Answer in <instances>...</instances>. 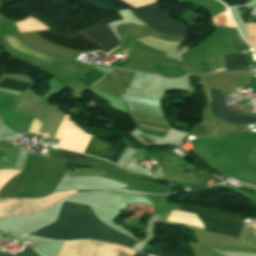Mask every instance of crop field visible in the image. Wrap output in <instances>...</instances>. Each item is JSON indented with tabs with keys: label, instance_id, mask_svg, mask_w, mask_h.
I'll list each match as a JSON object with an SVG mask.
<instances>
[{
	"label": "crop field",
	"instance_id": "dd49c442",
	"mask_svg": "<svg viewBox=\"0 0 256 256\" xmlns=\"http://www.w3.org/2000/svg\"><path fill=\"white\" fill-rule=\"evenodd\" d=\"M198 218L204 224L205 230L208 232L220 233L236 237L242 223L200 215Z\"/></svg>",
	"mask_w": 256,
	"mask_h": 256
},
{
	"label": "crop field",
	"instance_id": "d9b57169",
	"mask_svg": "<svg viewBox=\"0 0 256 256\" xmlns=\"http://www.w3.org/2000/svg\"><path fill=\"white\" fill-rule=\"evenodd\" d=\"M28 85L29 84L27 83L17 82V81L8 80V79H5L0 83L1 88L15 90L19 92H22L23 90L27 89Z\"/></svg>",
	"mask_w": 256,
	"mask_h": 256
},
{
	"label": "crop field",
	"instance_id": "00972430",
	"mask_svg": "<svg viewBox=\"0 0 256 256\" xmlns=\"http://www.w3.org/2000/svg\"><path fill=\"white\" fill-rule=\"evenodd\" d=\"M135 256H146V255H142L140 253H137V254H135Z\"/></svg>",
	"mask_w": 256,
	"mask_h": 256
},
{
	"label": "crop field",
	"instance_id": "d8731c3e",
	"mask_svg": "<svg viewBox=\"0 0 256 256\" xmlns=\"http://www.w3.org/2000/svg\"><path fill=\"white\" fill-rule=\"evenodd\" d=\"M121 98L124 99V100H127V101H133V102H139V103H145V104L160 106L159 100H153V99L123 95V94H121ZM133 102H127L128 109L163 116L161 111H160V107L145 105V104H139V103H133Z\"/></svg>",
	"mask_w": 256,
	"mask_h": 256
},
{
	"label": "crop field",
	"instance_id": "a9b5d70f",
	"mask_svg": "<svg viewBox=\"0 0 256 256\" xmlns=\"http://www.w3.org/2000/svg\"><path fill=\"white\" fill-rule=\"evenodd\" d=\"M40 126H41V123H40ZM40 126H39L38 130L36 131V133H38V131H39V129H40Z\"/></svg>",
	"mask_w": 256,
	"mask_h": 256
},
{
	"label": "crop field",
	"instance_id": "412701ff",
	"mask_svg": "<svg viewBox=\"0 0 256 256\" xmlns=\"http://www.w3.org/2000/svg\"><path fill=\"white\" fill-rule=\"evenodd\" d=\"M40 39L75 50V51H102L101 47L80 33L75 36H60L51 30L34 32ZM103 52V51H102Z\"/></svg>",
	"mask_w": 256,
	"mask_h": 256
},
{
	"label": "crop field",
	"instance_id": "5142ce71",
	"mask_svg": "<svg viewBox=\"0 0 256 256\" xmlns=\"http://www.w3.org/2000/svg\"><path fill=\"white\" fill-rule=\"evenodd\" d=\"M104 74H102V73H100V72H98V71H96V70H94V69H91V70H89L87 73H85L83 76H81L78 80L79 81H81V82H83V83H85V84H87V85H91V84H93L96 80H98L101 76H103ZM105 76V75H104ZM102 78V77H101ZM100 78V79H101ZM99 79V80H100ZM97 82V81H96ZM95 82V83H96ZM94 83V84H95ZM93 84V85H94ZM92 86V85H91ZM90 86V87H91Z\"/></svg>",
	"mask_w": 256,
	"mask_h": 256
},
{
	"label": "crop field",
	"instance_id": "3316defc",
	"mask_svg": "<svg viewBox=\"0 0 256 256\" xmlns=\"http://www.w3.org/2000/svg\"><path fill=\"white\" fill-rule=\"evenodd\" d=\"M85 1L90 3V4H92L97 9L105 10V11H110V12L119 11L118 9L122 10V9L132 8L130 5L124 3V2H122L120 0H104L108 4L114 6V7L118 8V9L108 5L107 3H105L102 0H85Z\"/></svg>",
	"mask_w": 256,
	"mask_h": 256
},
{
	"label": "crop field",
	"instance_id": "cbeb9de0",
	"mask_svg": "<svg viewBox=\"0 0 256 256\" xmlns=\"http://www.w3.org/2000/svg\"><path fill=\"white\" fill-rule=\"evenodd\" d=\"M150 76L151 75L138 74V73L134 72V74L131 76V78L129 79V81H128L127 85H126V88L142 90L146 80Z\"/></svg>",
	"mask_w": 256,
	"mask_h": 256
},
{
	"label": "crop field",
	"instance_id": "733c2abd",
	"mask_svg": "<svg viewBox=\"0 0 256 256\" xmlns=\"http://www.w3.org/2000/svg\"><path fill=\"white\" fill-rule=\"evenodd\" d=\"M58 157L70 159V160H76V161H82L85 162L87 156L77 153H71L67 151L60 150V152L57 154Z\"/></svg>",
	"mask_w": 256,
	"mask_h": 256
},
{
	"label": "crop field",
	"instance_id": "ac0d7876",
	"mask_svg": "<svg viewBox=\"0 0 256 256\" xmlns=\"http://www.w3.org/2000/svg\"><path fill=\"white\" fill-rule=\"evenodd\" d=\"M145 10H147L154 18H156L159 22L167 19L168 17L161 11L156 3L150 4L147 6H143ZM142 7H138L135 9H131L132 13L136 16L137 19L148 25L149 27L159 23L156 19H154L147 11H145ZM152 29L172 34L178 36H184L185 34V27L183 23L176 21L172 18H169L153 27Z\"/></svg>",
	"mask_w": 256,
	"mask_h": 256
},
{
	"label": "crop field",
	"instance_id": "4a817a6b",
	"mask_svg": "<svg viewBox=\"0 0 256 256\" xmlns=\"http://www.w3.org/2000/svg\"><path fill=\"white\" fill-rule=\"evenodd\" d=\"M15 256H38L32 249L27 245L21 253H16Z\"/></svg>",
	"mask_w": 256,
	"mask_h": 256
},
{
	"label": "crop field",
	"instance_id": "d1516ede",
	"mask_svg": "<svg viewBox=\"0 0 256 256\" xmlns=\"http://www.w3.org/2000/svg\"><path fill=\"white\" fill-rule=\"evenodd\" d=\"M227 70H238L237 67L248 66L245 54L223 55Z\"/></svg>",
	"mask_w": 256,
	"mask_h": 256
},
{
	"label": "crop field",
	"instance_id": "22f410ed",
	"mask_svg": "<svg viewBox=\"0 0 256 256\" xmlns=\"http://www.w3.org/2000/svg\"><path fill=\"white\" fill-rule=\"evenodd\" d=\"M153 67L160 72L163 77L178 78L184 76L183 71L180 68L172 64H152Z\"/></svg>",
	"mask_w": 256,
	"mask_h": 256
},
{
	"label": "crop field",
	"instance_id": "214f88e0",
	"mask_svg": "<svg viewBox=\"0 0 256 256\" xmlns=\"http://www.w3.org/2000/svg\"><path fill=\"white\" fill-rule=\"evenodd\" d=\"M119 157H120V154H118L116 152H113L108 160L116 164L118 159H119Z\"/></svg>",
	"mask_w": 256,
	"mask_h": 256
},
{
	"label": "crop field",
	"instance_id": "28ad6ade",
	"mask_svg": "<svg viewBox=\"0 0 256 256\" xmlns=\"http://www.w3.org/2000/svg\"><path fill=\"white\" fill-rule=\"evenodd\" d=\"M178 210L200 213V214H205V215L221 217V218H226V219H231V220H236V221L243 222V217H241V216L226 214V213H220V212H214V211L201 209V208L179 206Z\"/></svg>",
	"mask_w": 256,
	"mask_h": 256
},
{
	"label": "crop field",
	"instance_id": "f4fd0767",
	"mask_svg": "<svg viewBox=\"0 0 256 256\" xmlns=\"http://www.w3.org/2000/svg\"><path fill=\"white\" fill-rule=\"evenodd\" d=\"M213 103H210L215 117L236 124L256 123V118L238 114L227 108L223 93L209 88Z\"/></svg>",
	"mask_w": 256,
	"mask_h": 256
},
{
	"label": "crop field",
	"instance_id": "e52e79f7",
	"mask_svg": "<svg viewBox=\"0 0 256 256\" xmlns=\"http://www.w3.org/2000/svg\"><path fill=\"white\" fill-rule=\"evenodd\" d=\"M99 25H101V24H98L96 26H99ZM96 26H94V27H96ZM94 27H92V28H94ZM89 29H91V28H89ZM89 29H87V30H89ZM87 30H85V31H87ZM82 34L85 35L86 37L92 39L97 44H99L103 48L104 53H106L120 45V42L118 41L116 36L109 30L107 25H101L92 30L84 32ZM109 53H107V54H109ZM107 54H105V55H107Z\"/></svg>",
	"mask_w": 256,
	"mask_h": 256
},
{
	"label": "crop field",
	"instance_id": "730fd06b",
	"mask_svg": "<svg viewBox=\"0 0 256 256\" xmlns=\"http://www.w3.org/2000/svg\"><path fill=\"white\" fill-rule=\"evenodd\" d=\"M218 70H225V68L224 69H218ZM218 70H215V71H218Z\"/></svg>",
	"mask_w": 256,
	"mask_h": 256
},
{
	"label": "crop field",
	"instance_id": "4177f3b9",
	"mask_svg": "<svg viewBox=\"0 0 256 256\" xmlns=\"http://www.w3.org/2000/svg\"><path fill=\"white\" fill-rule=\"evenodd\" d=\"M2 127H4V126H3L2 123L0 122V128H2Z\"/></svg>",
	"mask_w": 256,
	"mask_h": 256
},
{
	"label": "crop field",
	"instance_id": "bc2a9ffb",
	"mask_svg": "<svg viewBox=\"0 0 256 256\" xmlns=\"http://www.w3.org/2000/svg\"><path fill=\"white\" fill-rule=\"evenodd\" d=\"M221 1H223L227 6H234V5H242L249 0H221ZM229 8H232V7H229Z\"/></svg>",
	"mask_w": 256,
	"mask_h": 256
},
{
	"label": "crop field",
	"instance_id": "dafd665d",
	"mask_svg": "<svg viewBox=\"0 0 256 256\" xmlns=\"http://www.w3.org/2000/svg\"><path fill=\"white\" fill-rule=\"evenodd\" d=\"M0 256H13V255L5 254V253H0Z\"/></svg>",
	"mask_w": 256,
	"mask_h": 256
},
{
	"label": "crop field",
	"instance_id": "5a996713",
	"mask_svg": "<svg viewBox=\"0 0 256 256\" xmlns=\"http://www.w3.org/2000/svg\"><path fill=\"white\" fill-rule=\"evenodd\" d=\"M112 149L113 146H111L109 143L92 136L88 146L84 151V154L108 159Z\"/></svg>",
	"mask_w": 256,
	"mask_h": 256
},
{
	"label": "crop field",
	"instance_id": "92a150f3",
	"mask_svg": "<svg viewBox=\"0 0 256 256\" xmlns=\"http://www.w3.org/2000/svg\"><path fill=\"white\" fill-rule=\"evenodd\" d=\"M141 252H142V253H147V254L156 255V256H165V255H162V254H158V253L152 252V251L147 250V249H145V248H143Z\"/></svg>",
	"mask_w": 256,
	"mask_h": 256
},
{
	"label": "crop field",
	"instance_id": "34b2d1b8",
	"mask_svg": "<svg viewBox=\"0 0 256 256\" xmlns=\"http://www.w3.org/2000/svg\"><path fill=\"white\" fill-rule=\"evenodd\" d=\"M19 96L0 92V119L12 131H29L32 118L13 110Z\"/></svg>",
	"mask_w": 256,
	"mask_h": 256
},
{
	"label": "crop field",
	"instance_id": "8a807250",
	"mask_svg": "<svg viewBox=\"0 0 256 256\" xmlns=\"http://www.w3.org/2000/svg\"><path fill=\"white\" fill-rule=\"evenodd\" d=\"M29 235L59 240L81 238L118 243L132 248L135 241L101 223L90 207L63 202L57 220Z\"/></svg>",
	"mask_w": 256,
	"mask_h": 256
},
{
	"label": "crop field",
	"instance_id": "eef30255",
	"mask_svg": "<svg viewBox=\"0 0 256 256\" xmlns=\"http://www.w3.org/2000/svg\"><path fill=\"white\" fill-rule=\"evenodd\" d=\"M161 169V168H160ZM160 171V170H159Z\"/></svg>",
	"mask_w": 256,
	"mask_h": 256
}]
</instances>
